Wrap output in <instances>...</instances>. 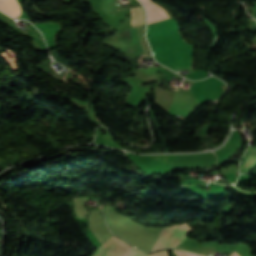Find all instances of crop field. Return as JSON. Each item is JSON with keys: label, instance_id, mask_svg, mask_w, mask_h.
Segmentation results:
<instances>
[{"label": "crop field", "instance_id": "crop-field-1", "mask_svg": "<svg viewBox=\"0 0 256 256\" xmlns=\"http://www.w3.org/2000/svg\"><path fill=\"white\" fill-rule=\"evenodd\" d=\"M0 10L10 15L13 18H18L22 14L17 0H0Z\"/></svg>", "mask_w": 256, "mask_h": 256}, {"label": "crop field", "instance_id": "crop-field-2", "mask_svg": "<svg viewBox=\"0 0 256 256\" xmlns=\"http://www.w3.org/2000/svg\"><path fill=\"white\" fill-rule=\"evenodd\" d=\"M132 10H133V16H131V27L144 25L145 11L143 7L142 6L135 7V8H132Z\"/></svg>", "mask_w": 256, "mask_h": 256}, {"label": "crop field", "instance_id": "crop-field-3", "mask_svg": "<svg viewBox=\"0 0 256 256\" xmlns=\"http://www.w3.org/2000/svg\"><path fill=\"white\" fill-rule=\"evenodd\" d=\"M118 31H119V33H120V35H121V37H122V39L124 41L125 47L127 49V52L129 54H132V55H137L136 52H135V49L133 47V44H132V42L130 40V37L128 35L127 30L124 29V30H118Z\"/></svg>", "mask_w": 256, "mask_h": 256}, {"label": "crop field", "instance_id": "crop-field-4", "mask_svg": "<svg viewBox=\"0 0 256 256\" xmlns=\"http://www.w3.org/2000/svg\"><path fill=\"white\" fill-rule=\"evenodd\" d=\"M144 29H145V25L139 27V31H138L139 40L145 54H151L150 49L147 45L146 39L144 37Z\"/></svg>", "mask_w": 256, "mask_h": 256}, {"label": "crop field", "instance_id": "crop-field-5", "mask_svg": "<svg viewBox=\"0 0 256 256\" xmlns=\"http://www.w3.org/2000/svg\"><path fill=\"white\" fill-rule=\"evenodd\" d=\"M129 256H168V255H167V251L157 252V253L146 255V254H143V253L133 249Z\"/></svg>", "mask_w": 256, "mask_h": 256}, {"label": "crop field", "instance_id": "crop-field-6", "mask_svg": "<svg viewBox=\"0 0 256 256\" xmlns=\"http://www.w3.org/2000/svg\"><path fill=\"white\" fill-rule=\"evenodd\" d=\"M147 11V10H146ZM147 15H148V23H151V22H155L156 20L151 16V14L147 11ZM147 23V24H148Z\"/></svg>", "mask_w": 256, "mask_h": 256}, {"label": "crop field", "instance_id": "crop-field-7", "mask_svg": "<svg viewBox=\"0 0 256 256\" xmlns=\"http://www.w3.org/2000/svg\"><path fill=\"white\" fill-rule=\"evenodd\" d=\"M63 1L66 2V3H69L70 0H63Z\"/></svg>", "mask_w": 256, "mask_h": 256}]
</instances>
